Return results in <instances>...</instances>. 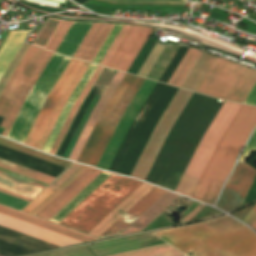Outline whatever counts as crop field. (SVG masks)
Masks as SVG:
<instances>
[{"instance_id": "crop-field-19", "label": "crop field", "mask_w": 256, "mask_h": 256, "mask_svg": "<svg viewBox=\"0 0 256 256\" xmlns=\"http://www.w3.org/2000/svg\"><path fill=\"white\" fill-rule=\"evenodd\" d=\"M165 87L164 84L157 83L156 87L154 88L153 92L151 93L150 97L148 98L147 102L143 106L142 110L140 111L139 115L137 116L136 120L134 121L129 133L127 134L122 146L120 147L116 157L114 158L109 170L117 172L128 148L130 147L141 123L145 119L146 115L150 111L151 107L157 100L158 96L162 92L163 88Z\"/></svg>"}, {"instance_id": "crop-field-21", "label": "crop field", "mask_w": 256, "mask_h": 256, "mask_svg": "<svg viewBox=\"0 0 256 256\" xmlns=\"http://www.w3.org/2000/svg\"><path fill=\"white\" fill-rule=\"evenodd\" d=\"M0 213L12 216L14 218L26 221L28 223L43 227L45 229L60 233L62 235L74 238V239L82 241V242L91 241V240L96 239V238L90 237L88 235L70 230L68 228L50 223L48 221L30 216L28 214L13 210L11 208H8V207L2 206V205H0Z\"/></svg>"}, {"instance_id": "crop-field-28", "label": "crop field", "mask_w": 256, "mask_h": 256, "mask_svg": "<svg viewBox=\"0 0 256 256\" xmlns=\"http://www.w3.org/2000/svg\"><path fill=\"white\" fill-rule=\"evenodd\" d=\"M103 70V67H99L97 66L96 70L94 71V73L92 74L91 78L89 79L88 83L86 84V86L84 87L83 91L81 92L80 96L78 97V99L76 100L75 104L73 105L51 151L50 154L55 155L78 107L80 106V104L82 103L83 99L85 98V96L87 95V93L89 92V90L91 89L92 85L94 84V82L96 81V79L98 78L99 74L101 73V71Z\"/></svg>"}, {"instance_id": "crop-field-44", "label": "crop field", "mask_w": 256, "mask_h": 256, "mask_svg": "<svg viewBox=\"0 0 256 256\" xmlns=\"http://www.w3.org/2000/svg\"><path fill=\"white\" fill-rule=\"evenodd\" d=\"M0 167H2V168H4V169H7V170H10V171H13V172H16V173H19V174H21V175H24V176L33 178V179H36V180H39V181L44 182V183H47V184H49V183L51 182V180H48V179H45V178H43V177H40V176L31 174V173L25 172V171H23V170H20V169H17V168H14V167L5 165V164H3V163H0Z\"/></svg>"}, {"instance_id": "crop-field-8", "label": "crop field", "mask_w": 256, "mask_h": 256, "mask_svg": "<svg viewBox=\"0 0 256 256\" xmlns=\"http://www.w3.org/2000/svg\"><path fill=\"white\" fill-rule=\"evenodd\" d=\"M239 104L224 102L209 129L202 138L189 165L180 179L175 192L190 197L203 169L205 168L217 142L239 109Z\"/></svg>"}, {"instance_id": "crop-field-31", "label": "crop field", "mask_w": 256, "mask_h": 256, "mask_svg": "<svg viewBox=\"0 0 256 256\" xmlns=\"http://www.w3.org/2000/svg\"><path fill=\"white\" fill-rule=\"evenodd\" d=\"M107 174L108 172L103 171L88 186H86L77 196H75L66 206H64L55 216H53L50 219V221L56 222L61 216H63L74 204H76L88 191H90ZM110 174H108L90 192H88L76 205H74L63 217H61L57 221V223L60 222L65 216H67L78 204H80L92 191H94L105 179H107L110 176Z\"/></svg>"}, {"instance_id": "crop-field-23", "label": "crop field", "mask_w": 256, "mask_h": 256, "mask_svg": "<svg viewBox=\"0 0 256 256\" xmlns=\"http://www.w3.org/2000/svg\"><path fill=\"white\" fill-rule=\"evenodd\" d=\"M28 33L29 31H10L0 47V78L18 52Z\"/></svg>"}, {"instance_id": "crop-field-20", "label": "crop field", "mask_w": 256, "mask_h": 256, "mask_svg": "<svg viewBox=\"0 0 256 256\" xmlns=\"http://www.w3.org/2000/svg\"><path fill=\"white\" fill-rule=\"evenodd\" d=\"M152 188L153 186L143 183L88 234L98 238Z\"/></svg>"}, {"instance_id": "crop-field-7", "label": "crop field", "mask_w": 256, "mask_h": 256, "mask_svg": "<svg viewBox=\"0 0 256 256\" xmlns=\"http://www.w3.org/2000/svg\"><path fill=\"white\" fill-rule=\"evenodd\" d=\"M70 58L53 54L28 94L7 138L23 143L45 99L67 66Z\"/></svg>"}, {"instance_id": "crop-field-39", "label": "crop field", "mask_w": 256, "mask_h": 256, "mask_svg": "<svg viewBox=\"0 0 256 256\" xmlns=\"http://www.w3.org/2000/svg\"><path fill=\"white\" fill-rule=\"evenodd\" d=\"M28 201L0 192V204L20 210Z\"/></svg>"}, {"instance_id": "crop-field-14", "label": "crop field", "mask_w": 256, "mask_h": 256, "mask_svg": "<svg viewBox=\"0 0 256 256\" xmlns=\"http://www.w3.org/2000/svg\"><path fill=\"white\" fill-rule=\"evenodd\" d=\"M165 192L166 190L154 187L99 238L120 235Z\"/></svg>"}, {"instance_id": "crop-field-46", "label": "crop field", "mask_w": 256, "mask_h": 256, "mask_svg": "<svg viewBox=\"0 0 256 256\" xmlns=\"http://www.w3.org/2000/svg\"><path fill=\"white\" fill-rule=\"evenodd\" d=\"M251 151H256V130L250 138L241 160H239L245 162Z\"/></svg>"}, {"instance_id": "crop-field-51", "label": "crop field", "mask_w": 256, "mask_h": 256, "mask_svg": "<svg viewBox=\"0 0 256 256\" xmlns=\"http://www.w3.org/2000/svg\"><path fill=\"white\" fill-rule=\"evenodd\" d=\"M205 205L200 204L198 207L194 209V212H191L186 218H184L180 223L189 221L192 217H194L201 209H203Z\"/></svg>"}, {"instance_id": "crop-field-24", "label": "crop field", "mask_w": 256, "mask_h": 256, "mask_svg": "<svg viewBox=\"0 0 256 256\" xmlns=\"http://www.w3.org/2000/svg\"><path fill=\"white\" fill-rule=\"evenodd\" d=\"M92 23H77L73 22L72 26L68 30L61 44L57 48L56 52L73 56L91 27Z\"/></svg>"}, {"instance_id": "crop-field-37", "label": "crop field", "mask_w": 256, "mask_h": 256, "mask_svg": "<svg viewBox=\"0 0 256 256\" xmlns=\"http://www.w3.org/2000/svg\"><path fill=\"white\" fill-rule=\"evenodd\" d=\"M28 47H29V44L24 42L22 47L20 48L19 52L17 53V55L13 59L12 63L8 67L7 71L5 72L3 77L1 78V80H0V92H1L2 88L4 87V85L6 84L7 80L9 79V77L11 76L12 72L16 68L17 64L21 60L22 56L26 52Z\"/></svg>"}, {"instance_id": "crop-field-34", "label": "crop field", "mask_w": 256, "mask_h": 256, "mask_svg": "<svg viewBox=\"0 0 256 256\" xmlns=\"http://www.w3.org/2000/svg\"><path fill=\"white\" fill-rule=\"evenodd\" d=\"M0 144L4 145L6 147H9V148L18 150L20 152L32 155L34 157L46 160L48 162L60 165V166L65 167V168H67L71 164L70 162H66V161H62V160H59V159H55V158H52V157L45 156L43 154L37 153L35 151H32V150L27 149V148H25L23 146H20L18 144L12 143L10 141H7V140L1 139V138H0Z\"/></svg>"}, {"instance_id": "crop-field-30", "label": "crop field", "mask_w": 256, "mask_h": 256, "mask_svg": "<svg viewBox=\"0 0 256 256\" xmlns=\"http://www.w3.org/2000/svg\"><path fill=\"white\" fill-rule=\"evenodd\" d=\"M202 51L189 48L187 51L186 55L180 62L179 66L171 76L170 80L168 81V84L175 85L180 87L182 84L183 80L189 73L190 69L198 59L199 55L201 54Z\"/></svg>"}, {"instance_id": "crop-field-52", "label": "crop field", "mask_w": 256, "mask_h": 256, "mask_svg": "<svg viewBox=\"0 0 256 256\" xmlns=\"http://www.w3.org/2000/svg\"><path fill=\"white\" fill-rule=\"evenodd\" d=\"M25 4H28V5H31V6H34L38 9H41V10H46V11H52V12H57V11H62V10H57V9H52V8H48V7H43V6H38V5H34V4H30V3H27V2H24L22 0H19Z\"/></svg>"}, {"instance_id": "crop-field-53", "label": "crop field", "mask_w": 256, "mask_h": 256, "mask_svg": "<svg viewBox=\"0 0 256 256\" xmlns=\"http://www.w3.org/2000/svg\"><path fill=\"white\" fill-rule=\"evenodd\" d=\"M0 173H3V174H6V175H9V176H12V177L18 178V179H20V180H23V181H26V182H29V183H32V184H35V185H37V186H40V187L45 188V186H42V185H40V184H37V183L31 182V181H28V180H26V179H23V178H20V177L14 176V175L9 174V173H6V172L0 171Z\"/></svg>"}, {"instance_id": "crop-field-12", "label": "crop field", "mask_w": 256, "mask_h": 256, "mask_svg": "<svg viewBox=\"0 0 256 256\" xmlns=\"http://www.w3.org/2000/svg\"><path fill=\"white\" fill-rule=\"evenodd\" d=\"M43 49L30 45L0 94V124L13 102L18 90L42 54Z\"/></svg>"}, {"instance_id": "crop-field-5", "label": "crop field", "mask_w": 256, "mask_h": 256, "mask_svg": "<svg viewBox=\"0 0 256 256\" xmlns=\"http://www.w3.org/2000/svg\"><path fill=\"white\" fill-rule=\"evenodd\" d=\"M89 63L71 59L50 95L46 99L24 144L42 150L66 102L70 98Z\"/></svg>"}, {"instance_id": "crop-field-35", "label": "crop field", "mask_w": 256, "mask_h": 256, "mask_svg": "<svg viewBox=\"0 0 256 256\" xmlns=\"http://www.w3.org/2000/svg\"><path fill=\"white\" fill-rule=\"evenodd\" d=\"M164 48V45L156 43L153 50L151 51L146 61L140 68L139 72L137 73L138 76L146 77V75L148 74V72L150 71V69L152 68V66L154 65L155 61L157 60V58L159 57Z\"/></svg>"}, {"instance_id": "crop-field-33", "label": "crop field", "mask_w": 256, "mask_h": 256, "mask_svg": "<svg viewBox=\"0 0 256 256\" xmlns=\"http://www.w3.org/2000/svg\"><path fill=\"white\" fill-rule=\"evenodd\" d=\"M61 23V20L54 19L48 17L46 21L44 22L41 30L38 32L36 37L33 40V43L39 44L41 46H46L49 42L50 38L58 28L59 24Z\"/></svg>"}, {"instance_id": "crop-field-15", "label": "crop field", "mask_w": 256, "mask_h": 256, "mask_svg": "<svg viewBox=\"0 0 256 256\" xmlns=\"http://www.w3.org/2000/svg\"><path fill=\"white\" fill-rule=\"evenodd\" d=\"M0 225L22 232L35 238L63 247L66 245L81 243L71 238L50 232L48 230L30 225L28 223L0 214Z\"/></svg>"}, {"instance_id": "crop-field-25", "label": "crop field", "mask_w": 256, "mask_h": 256, "mask_svg": "<svg viewBox=\"0 0 256 256\" xmlns=\"http://www.w3.org/2000/svg\"><path fill=\"white\" fill-rule=\"evenodd\" d=\"M178 197L179 196L168 191L121 235L141 231L147 224H149L156 216H158Z\"/></svg>"}, {"instance_id": "crop-field-22", "label": "crop field", "mask_w": 256, "mask_h": 256, "mask_svg": "<svg viewBox=\"0 0 256 256\" xmlns=\"http://www.w3.org/2000/svg\"><path fill=\"white\" fill-rule=\"evenodd\" d=\"M88 166L82 165L77 171H75L63 184H61L55 191L47 187L42 193H40L29 205H27L22 211L29 213L32 209H34L41 201H43L50 193V194L43 202H41L34 210H32L29 214L36 216L43 208H45L55 197H57L68 185H70L82 172H84Z\"/></svg>"}, {"instance_id": "crop-field-42", "label": "crop field", "mask_w": 256, "mask_h": 256, "mask_svg": "<svg viewBox=\"0 0 256 256\" xmlns=\"http://www.w3.org/2000/svg\"><path fill=\"white\" fill-rule=\"evenodd\" d=\"M81 165L74 163L70 168H68L62 175H60L53 183L49 185L56 189L61 183H63L75 170H77Z\"/></svg>"}, {"instance_id": "crop-field-40", "label": "crop field", "mask_w": 256, "mask_h": 256, "mask_svg": "<svg viewBox=\"0 0 256 256\" xmlns=\"http://www.w3.org/2000/svg\"><path fill=\"white\" fill-rule=\"evenodd\" d=\"M122 27V25H117L115 24L114 28L112 29V31L110 32L109 36L107 37L106 41L104 42V44L102 45L101 49L99 50L98 54L96 55V57L93 60V63H97L99 64L100 60L102 59V57L104 56L105 52L107 51V49L109 48L110 44L112 43V41L114 40L115 36L117 35V33L119 32L120 28Z\"/></svg>"}, {"instance_id": "crop-field-32", "label": "crop field", "mask_w": 256, "mask_h": 256, "mask_svg": "<svg viewBox=\"0 0 256 256\" xmlns=\"http://www.w3.org/2000/svg\"><path fill=\"white\" fill-rule=\"evenodd\" d=\"M109 256H183V254L169 244L164 243Z\"/></svg>"}, {"instance_id": "crop-field-11", "label": "crop field", "mask_w": 256, "mask_h": 256, "mask_svg": "<svg viewBox=\"0 0 256 256\" xmlns=\"http://www.w3.org/2000/svg\"><path fill=\"white\" fill-rule=\"evenodd\" d=\"M151 31L147 27L130 26L106 67L127 72Z\"/></svg>"}, {"instance_id": "crop-field-38", "label": "crop field", "mask_w": 256, "mask_h": 256, "mask_svg": "<svg viewBox=\"0 0 256 256\" xmlns=\"http://www.w3.org/2000/svg\"><path fill=\"white\" fill-rule=\"evenodd\" d=\"M187 50H188V48L180 47V49L178 50L177 54L175 55V57L173 58L172 62L168 66V68L165 71V73L163 74L162 78L160 79L161 82L167 83V81L169 80L170 76L172 75V73L176 69L177 65L179 64V62L181 61V59L183 58V56L185 55Z\"/></svg>"}, {"instance_id": "crop-field-41", "label": "crop field", "mask_w": 256, "mask_h": 256, "mask_svg": "<svg viewBox=\"0 0 256 256\" xmlns=\"http://www.w3.org/2000/svg\"><path fill=\"white\" fill-rule=\"evenodd\" d=\"M128 28H129L128 25H123L122 29L120 30V32L118 33L117 37L115 38V40L113 41L112 45L110 46V48L108 49L107 53L105 54V56L103 57L102 61L100 62V65L105 66V64L107 63L108 59L110 58V56L114 52L115 48L119 44L120 40L122 39V37L124 36V34L126 33Z\"/></svg>"}, {"instance_id": "crop-field-10", "label": "crop field", "mask_w": 256, "mask_h": 256, "mask_svg": "<svg viewBox=\"0 0 256 256\" xmlns=\"http://www.w3.org/2000/svg\"><path fill=\"white\" fill-rule=\"evenodd\" d=\"M255 176L256 169L245 163L238 162L216 207L227 211L242 204Z\"/></svg>"}, {"instance_id": "crop-field-27", "label": "crop field", "mask_w": 256, "mask_h": 256, "mask_svg": "<svg viewBox=\"0 0 256 256\" xmlns=\"http://www.w3.org/2000/svg\"><path fill=\"white\" fill-rule=\"evenodd\" d=\"M214 59L215 56L202 52L199 59L181 85V88L195 91Z\"/></svg>"}, {"instance_id": "crop-field-50", "label": "crop field", "mask_w": 256, "mask_h": 256, "mask_svg": "<svg viewBox=\"0 0 256 256\" xmlns=\"http://www.w3.org/2000/svg\"><path fill=\"white\" fill-rule=\"evenodd\" d=\"M244 103L256 106V83L253 86L247 98L245 99Z\"/></svg>"}, {"instance_id": "crop-field-2", "label": "crop field", "mask_w": 256, "mask_h": 256, "mask_svg": "<svg viewBox=\"0 0 256 256\" xmlns=\"http://www.w3.org/2000/svg\"><path fill=\"white\" fill-rule=\"evenodd\" d=\"M256 125V107L243 106L218 142L191 198L213 205L237 155Z\"/></svg>"}, {"instance_id": "crop-field-17", "label": "crop field", "mask_w": 256, "mask_h": 256, "mask_svg": "<svg viewBox=\"0 0 256 256\" xmlns=\"http://www.w3.org/2000/svg\"><path fill=\"white\" fill-rule=\"evenodd\" d=\"M124 76V73H121L119 71H117V73L115 74L114 78L112 79V81L110 82V84L108 85V87L106 88L105 92L103 93V95L101 96V98L99 99L98 103L96 104V106L94 107L90 117L88 118L70 156L69 159L72 160H77L100 112L102 111V109L104 108L105 104L107 103V101L109 100L110 96L112 95V93L114 92V90L116 89L117 85L119 84V82L121 81L122 77Z\"/></svg>"}, {"instance_id": "crop-field-4", "label": "crop field", "mask_w": 256, "mask_h": 256, "mask_svg": "<svg viewBox=\"0 0 256 256\" xmlns=\"http://www.w3.org/2000/svg\"><path fill=\"white\" fill-rule=\"evenodd\" d=\"M143 81V78L125 74L103 109L78 162L96 167L120 117Z\"/></svg>"}, {"instance_id": "crop-field-26", "label": "crop field", "mask_w": 256, "mask_h": 256, "mask_svg": "<svg viewBox=\"0 0 256 256\" xmlns=\"http://www.w3.org/2000/svg\"><path fill=\"white\" fill-rule=\"evenodd\" d=\"M95 68H96V65L90 64L89 68L87 69L86 73L84 74L83 78L81 79L80 83L78 84L77 88L75 89L74 93L72 94L71 98L69 99L68 103L66 102L67 104H66L60 118L58 119L51 135L49 136V138L43 148V151L49 153L72 105L74 104L75 100L79 96L80 92L82 91L83 87L87 83L88 79L90 78V76L93 73V71L95 70Z\"/></svg>"}, {"instance_id": "crop-field-43", "label": "crop field", "mask_w": 256, "mask_h": 256, "mask_svg": "<svg viewBox=\"0 0 256 256\" xmlns=\"http://www.w3.org/2000/svg\"><path fill=\"white\" fill-rule=\"evenodd\" d=\"M112 2L186 4V0H107Z\"/></svg>"}, {"instance_id": "crop-field-36", "label": "crop field", "mask_w": 256, "mask_h": 256, "mask_svg": "<svg viewBox=\"0 0 256 256\" xmlns=\"http://www.w3.org/2000/svg\"><path fill=\"white\" fill-rule=\"evenodd\" d=\"M71 24L72 22L62 21L59 28L57 29L54 36L52 37L49 44L47 45L46 49L55 52L56 48L60 44L61 40L63 39L64 35L66 34Z\"/></svg>"}, {"instance_id": "crop-field-45", "label": "crop field", "mask_w": 256, "mask_h": 256, "mask_svg": "<svg viewBox=\"0 0 256 256\" xmlns=\"http://www.w3.org/2000/svg\"><path fill=\"white\" fill-rule=\"evenodd\" d=\"M115 73L116 71L104 68V70L102 71L101 75L99 76L95 84L107 87V85L109 84V82L111 81Z\"/></svg>"}, {"instance_id": "crop-field-49", "label": "crop field", "mask_w": 256, "mask_h": 256, "mask_svg": "<svg viewBox=\"0 0 256 256\" xmlns=\"http://www.w3.org/2000/svg\"><path fill=\"white\" fill-rule=\"evenodd\" d=\"M83 6L88 7L90 9L94 10L95 12L110 15V16H112V14L114 12L113 9H108V8H103V7H97V6L87 5V4H84Z\"/></svg>"}, {"instance_id": "crop-field-6", "label": "crop field", "mask_w": 256, "mask_h": 256, "mask_svg": "<svg viewBox=\"0 0 256 256\" xmlns=\"http://www.w3.org/2000/svg\"><path fill=\"white\" fill-rule=\"evenodd\" d=\"M255 81V70L216 57L196 92L243 103Z\"/></svg>"}, {"instance_id": "crop-field-47", "label": "crop field", "mask_w": 256, "mask_h": 256, "mask_svg": "<svg viewBox=\"0 0 256 256\" xmlns=\"http://www.w3.org/2000/svg\"><path fill=\"white\" fill-rule=\"evenodd\" d=\"M0 162H3L5 164H8V165H11V166H14V167H17V168H20V169H23L25 171H28V172H31V173H34V174H37V175H40V176H43L45 178H48V179H51L53 180L54 177H51V176H48L46 174H43V173H40V172H37V171H34V170H31V169H28L26 167H23V166H20V165H17V164H14V163H11V162H8L6 160H3V159H0Z\"/></svg>"}, {"instance_id": "crop-field-13", "label": "crop field", "mask_w": 256, "mask_h": 256, "mask_svg": "<svg viewBox=\"0 0 256 256\" xmlns=\"http://www.w3.org/2000/svg\"><path fill=\"white\" fill-rule=\"evenodd\" d=\"M101 172L102 170L89 167L45 209L43 208L37 217L49 220Z\"/></svg>"}, {"instance_id": "crop-field-16", "label": "crop field", "mask_w": 256, "mask_h": 256, "mask_svg": "<svg viewBox=\"0 0 256 256\" xmlns=\"http://www.w3.org/2000/svg\"><path fill=\"white\" fill-rule=\"evenodd\" d=\"M52 56V53L44 50L43 54L39 58L38 62L34 66L33 70L31 71L30 75L26 79L25 83L21 87L20 91L18 92L9 112L7 113L3 123L1 126L6 127L3 136L6 137L16 115L18 114L27 94L29 93L30 89L34 85L35 81L39 77L40 73L44 69L45 65L49 61L50 57Z\"/></svg>"}, {"instance_id": "crop-field-48", "label": "crop field", "mask_w": 256, "mask_h": 256, "mask_svg": "<svg viewBox=\"0 0 256 256\" xmlns=\"http://www.w3.org/2000/svg\"><path fill=\"white\" fill-rule=\"evenodd\" d=\"M251 211V210H250ZM250 226L256 228V206L252 211L242 220Z\"/></svg>"}, {"instance_id": "crop-field-3", "label": "crop field", "mask_w": 256, "mask_h": 256, "mask_svg": "<svg viewBox=\"0 0 256 256\" xmlns=\"http://www.w3.org/2000/svg\"><path fill=\"white\" fill-rule=\"evenodd\" d=\"M141 184L112 174L59 224L87 234Z\"/></svg>"}, {"instance_id": "crop-field-9", "label": "crop field", "mask_w": 256, "mask_h": 256, "mask_svg": "<svg viewBox=\"0 0 256 256\" xmlns=\"http://www.w3.org/2000/svg\"><path fill=\"white\" fill-rule=\"evenodd\" d=\"M192 92L179 89L174 99L155 126L131 177L145 180L169 130L191 97Z\"/></svg>"}, {"instance_id": "crop-field-18", "label": "crop field", "mask_w": 256, "mask_h": 256, "mask_svg": "<svg viewBox=\"0 0 256 256\" xmlns=\"http://www.w3.org/2000/svg\"><path fill=\"white\" fill-rule=\"evenodd\" d=\"M113 26L114 24L93 23L74 57L92 62Z\"/></svg>"}, {"instance_id": "crop-field-55", "label": "crop field", "mask_w": 256, "mask_h": 256, "mask_svg": "<svg viewBox=\"0 0 256 256\" xmlns=\"http://www.w3.org/2000/svg\"><path fill=\"white\" fill-rule=\"evenodd\" d=\"M0 191L5 192V193H8V194H11V195H14V196H17V197H19V198H22V199H25V200H28V201L31 200V199L25 198V197H23V196H20V195L14 194V193H11V192L6 191V190H3V189H0Z\"/></svg>"}, {"instance_id": "crop-field-29", "label": "crop field", "mask_w": 256, "mask_h": 256, "mask_svg": "<svg viewBox=\"0 0 256 256\" xmlns=\"http://www.w3.org/2000/svg\"><path fill=\"white\" fill-rule=\"evenodd\" d=\"M0 188L33 199L43 188L0 174Z\"/></svg>"}, {"instance_id": "crop-field-1", "label": "crop field", "mask_w": 256, "mask_h": 256, "mask_svg": "<svg viewBox=\"0 0 256 256\" xmlns=\"http://www.w3.org/2000/svg\"><path fill=\"white\" fill-rule=\"evenodd\" d=\"M176 230L154 234L163 235L174 247L192 256H256V235L228 216Z\"/></svg>"}, {"instance_id": "crop-field-54", "label": "crop field", "mask_w": 256, "mask_h": 256, "mask_svg": "<svg viewBox=\"0 0 256 256\" xmlns=\"http://www.w3.org/2000/svg\"><path fill=\"white\" fill-rule=\"evenodd\" d=\"M0 170H3V171H6V172H9V173H12V174H14V175H17V176H20V177L26 178V179H28V180H31V181H34V182H37V183H40V184H42V185L47 186V184H44V183H41V182H39V181H36V180L30 179V178L21 176V175H19V174H16V173H13V172H10V171H7V170H4V169H2V168H0Z\"/></svg>"}]
</instances>
